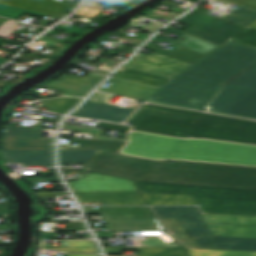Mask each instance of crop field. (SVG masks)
<instances>
[{"instance_id":"obj_1","label":"crop field","mask_w":256,"mask_h":256,"mask_svg":"<svg viewBox=\"0 0 256 256\" xmlns=\"http://www.w3.org/2000/svg\"><path fill=\"white\" fill-rule=\"evenodd\" d=\"M255 62V49L228 40L145 101L205 111L226 81ZM208 111L256 119V65L228 82Z\"/></svg>"},{"instance_id":"obj_2","label":"crop field","mask_w":256,"mask_h":256,"mask_svg":"<svg viewBox=\"0 0 256 256\" xmlns=\"http://www.w3.org/2000/svg\"><path fill=\"white\" fill-rule=\"evenodd\" d=\"M72 143L78 148L60 146V150H97L86 171L152 181L256 188V168L117 154L127 142L73 139Z\"/></svg>"},{"instance_id":"obj_3","label":"crop field","mask_w":256,"mask_h":256,"mask_svg":"<svg viewBox=\"0 0 256 256\" xmlns=\"http://www.w3.org/2000/svg\"><path fill=\"white\" fill-rule=\"evenodd\" d=\"M134 130L182 138L183 135L256 145V122L200 112L143 105L128 120Z\"/></svg>"},{"instance_id":"obj_4","label":"crop field","mask_w":256,"mask_h":256,"mask_svg":"<svg viewBox=\"0 0 256 256\" xmlns=\"http://www.w3.org/2000/svg\"><path fill=\"white\" fill-rule=\"evenodd\" d=\"M143 156L256 166V146L209 140H183L160 135H157Z\"/></svg>"},{"instance_id":"obj_5","label":"crop field","mask_w":256,"mask_h":256,"mask_svg":"<svg viewBox=\"0 0 256 256\" xmlns=\"http://www.w3.org/2000/svg\"><path fill=\"white\" fill-rule=\"evenodd\" d=\"M142 192L191 194L203 212L256 215V190L136 181Z\"/></svg>"},{"instance_id":"obj_6","label":"crop field","mask_w":256,"mask_h":256,"mask_svg":"<svg viewBox=\"0 0 256 256\" xmlns=\"http://www.w3.org/2000/svg\"><path fill=\"white\" fill-rule=\"evenodd\" d=\"M159 218H177L200 248L256 251V238L213 236L197 207H153Z\"/></svg>"},{"instance_id":"obj_7","label":"crop field","mask_w":256,"mask_h":256,"mask_svg":"<svg viewBox=\"0 0 256 256\" xmlns=\"http://www.w3.org/2000/svg\"><path fill=\"white\" fill-rule=\"evenodd\" d=\"M178 22L191 25L184 32L221 45L245 27L221 20L199 11H192Z\"/></svg>"},{"instance_id":"obj_8","label":"crop field","mask_w":256,"mask_h":256,"mask_svg":"<svg viewBox=\"0 0 256 256\" xmlns=\"http://www.w3.org/2000/svg\"><path fill=\"white\" fill-rule=\"evenodd\" d=\"M190 65L154 52L150 55L140 53L123 67L171 79Z\"/></svg>"},{"instance_id":"obj_9","label":"crop field","mask_w":256,"mask_h":256,"mask_svg":"<svg viewBox=\"0 0 256 256\" xmlns=\"http://www.w3.org/2000/svg\"><path fill=\"white\" fill-rule=\"evenodd\" d=\"M213 235L256 237V217L202 214Z\"/></svg>"},{"instance_id":"obj_10","label":"crop field","mask_w":256,"mask_h":256,"mask_svg":"<svg viewBox=\"0 0 256 256\" xmlns=\"http://www.w3.org/2000/svg\"><path fill=\"white\" fill-rule=\"evenodd\" d=\"M44 122L36 129L6 126L1 149H51L53 138H40Z\"/></svg>"},{"instance_id":"obj_11","label":"crop field","mask_w":256,"mask_h":256,"mask_svg":"<svg viewBox=\"0 0 256 256\" xmlns=\"http://www.w3.org/2000/svg\"><path fill=\"white\" fill-rule=\"evenodd\" d=\"M85 179L69 182L73 192L137 190L132 180L89 173Z\"/></svg>"},{"instance_id":"obj_12","label":"crop field","mask_w":256,"mask_h":256,"mask_svg":"<svg viewBox=\"0 0 256 256\" xmlns=\"http://www.w3.org/2000/svg\"><path fill=\"white\" fill-rule=\"evenodd\" d=\"M75 194L80 203L101 202L103 205H146L139 191L90 192Z\"/></svg>"},{"instance_id":"obj_13","label":"crop field","mask_w":256,"mask_h":256,"mask_svg":"<svg viewBox=\"0 0 256 256\" xmlns=\"http://www.w3.org/2000/svg\"><path fill=\"white\" fill-rule=\"evenodd\" d=\"M133 111L134 110L94 102H86V104L77 112L73 113L72 116L94 118L112 122H121Z\"/></svg>"},{"instance_id":"obj_14","label":"crop field","mask_w":256,"mask_h":256,"mask_svg":"<svg viewBox=\"0 0 256 256\" xmlns=\"http://www.w3.org/2000/svg\"><path fill=\"white\" fill-rule=\"evenodd\" d=\"M0 3L60 17L66 15L75 6L74 4L54 0H0Z\"/></svg>"},{"instance_id":"obj_15","label":"crop field","mask_w":256,"mask_h":256,"mask_svg":"<svg viewBox=\"0 0 256 256\" xmlns=\"http://www.w3.org/2000/svg\"><path fill=\"white\" fill-rule=\"evenodd\" d=\"M4 162H22V166L52 165L51 150H1Z\"/></svg>"},{"instance_id":"obj_16","label":"crop field","mask_w":256,"mask_h":256,"mask_svg":"<svg viewBox=\"0 0 256 256\" xmlns=\"http://www.w3.org/2000/svg\"><path fill=\"white\" fill-rule=\"evenodd\" d=\"M110 81L114 82L108 89L101 88L100 91L125 95L133 98H138L145 100L150 95H152L159 88L145 85L141 83H136L128 80H123L119 78L112 77Z\"/></svg>"},{"instance_id":"obj_17","label":"crop field","mask_w":256,"mask_h":256,"mask_svg":"<svg viewBox=\"0 0 256 256\" xmlns=\"http://www.w3.org/2000/svg\"><path fill=\"white\" fill-rule=\"evenodd\" d=\"M165 31L174 33L176 35L182 36L187 38L185 41L181 42L178 40H174L168 37H165L163 35L158 34L155 39H159L165 42H169L175 45H179L185 48H189L198 52H202V53H209L210 51H212L214 48H216L218 45L210 43L208 41L202 40L200 38L194 37L192 35L186 34L184 32H181L171 26H169L167 29H165Z\"/></svg>"},{"instance_id":"obj_18","label":"crop field","mask_w":256,"mask_h":256,"mask_svg":"<svg viewBox=\"0 0 256 256\" xmlns=\"http://www.w3.org/2000/svg\"><path fill=\"white\" fill-rule=\"evenodd\" d=\"M86 214H133L135 218H154L148 207H83Z\"/></svg>"},{"instance_id":"obj_19","label":"crop field","mask_w":256,"mask_h":256,"mask_svg":"<svg viewBox=\"0 0 256 256\" xmlns=\"http://www.w3.org/2000/svg\"><path fill=\"white\" fill-rule=\"evenodd\" d=\"M149 205H195L191 195L143 193Z\"/></svg>"},{"instance_id":"obj_20","label":"crop field","mask_w":256,"mask_h":256,"mask_svg":"<svg viewBox=\"0 0 256 256\" xmlns=\"http://www.w3.org/2000/svg\"><path fill=\"white\" fill-rule=\"evenodd\" d=\"M219 1L227 2L232 5L236 4L238 5V7H240L239 9L235 10L234 12L230 13L229 15L221 19H224L245 27H247L248 25H250L252 22L256 20V9L248 6H244L238 3H234L228 0H219Z\"/></svg>"},{"instance_id":"obj_21","label":"crop field","mask_w":256,"mask_h":256,"mask_svg":"<svg viewBox=\"0 0 256 256\" xmlns=\"http://www.w3.org/2000/svg\"><path fill=\"white\" fill-rule=\"evenodd\" d=\"M130 137L131 142L127 145L123 152L142 156L156 135L141 132H131Z\"/></svg>"},{"instance_id":"obj_22","label":"crop field","mask_w":256,"mask_h":256,"mask_svg":"<svg viewBox=\"0 0 256 256\" xmlns=\"http://www.w3.org/2000/svg\"><path fill=\"white\" fill-rule=\"evenodd\" d=\"M144 48L174 57L176 59L194 64L195 62H197L199 59H201L203 56H205V54L202 53H198L189 49H185L180 47L179 49H177L175 52L171 53L169 51L163 50L161 48L158 47V45L156 43L153 42H149L147 45L144 46Z\"/></svg>"},{"instance_id":"obj_23","label":"crop field","mask_w":256,"mask_h":256,"mask_svg":"<svg viewBox=\"0 0 256 256\" xmlns=\"http://www.w3.org/2000/svg\"><path fill=\"white\" fill-rule=\"evenodd\" d=\"M113 76L132 80V81H137L145 84H150L158 87H161L167 81H169L168 79L135 72L128 69L125 72L117 71Z\"/></svg>"},{"instance_id":"obj_24","label":"crop field","mask_w":256,"mask_h":256,"mask_svg":"<svg viewBox=\"0 0 256 256\" xmlns=\"http://www.w3.org/2000/svg\"><path fill=\"white\" fill-rule=\"evenodd\" d=\"M165 228L168 232H172L173 236L176 237L180 242L186 245L189 248H198L196 243L191 239V237L187 234L181 224L177 219H161Z\"/></svg>"},{"instance_id":"obj_25","label":"crop field","mask_w":256,"mask_h":256,"mask_svg":"<svg viewBox=\"0 0 256 256\" xmlns=\"http://www.w3.org/2000/svg\"><path fill=\"white\" fill-rule=\"evenodd\" d=\"M124 250H138V256H186L183 247L174 248H124Z\"/></svg>"},{"instance_id":"obj_26","label":"crop field","mask_w":256,"mask_h":256,"mask_svg":"<svg viewBox=\"0 0 256 256\" xmlns=\"http://www.w3.org/2000/svg\"><path fill=\"white\" fill-rule=\"evenodd\" d=\"M96 151H60V163L63 166L65 162L88 164Z\"/></svg>"},{"instance_id":"obj_27","label":"crop field","mask_w":256,"mask_h":256,"mask_svg":"<svg viewBox=\"0 0 256 256\" xmlns=\"http://www.w3.org/2000/svg\"><path fill=\"white\" fill-rule=\"evenodd\" d=\"M190 256H256V252L210 250V249H189Z\"/></svg>"},{"instance_id":"obj_28","label":"crop field","mask_w":256,"mask_h":256,"mask_svg":"<svg viewBox=\"0 0 256 256\" xmlns=\"http://www.w3.org/2000/svg\"><path fill=\"white\" fill-rule=\"evenodd\" d=\"M103 76L89 73L84 77L81 76H74V75H67L63 74L60 76L57 81L77 84L85 87L91 88L94 84H96Z\"/></svg>"},{"instance_id":"obj_29","label":"crop field","mask_w":256,"mask_h":256,"mask_svg":"<svg viewBox=\"0 0 256 256\" xmlns=\"http://www.w3.org/2000/svg\"><path fill=\"white\" fill-rule=\"evenodd\" d=\"M78 98H56L44 101L42 107L48 108L57 113L63 114L78 102Z\"/></svg>"},{"instance_id":"obj_30","label":"crop field","mask_w":256,"mask_h":256,"mask_svg":"<svg viewBox=\"0 0 256 256\" xmlns=\"http://www.w3.org/2000/svg\"><path fill=\"white\" fill-rule=\"evenodd\" d=\"M23 13L41 17V18L48 16V17L60 19V17L51 16V15H47V14H42V13H38V12H33V11H29V10L19 9V8L10 7V6L0 4V15H2V16L17 19Z\"/></svg>"},{"instance_id":"obj_31","label":"crop field","mask_w":256,"mask_h":256,"mask_svg":"<svg viewBox=\"0 0 256 256\" xmlns=\"http://www.w3.org/2000/svg\"><path fill=\"white\" fill-rule=\"evenodd\" d=\"M230 40L236 41L238 43H241L256 49V30L247 27L246 30L242 31L241 33L234 36Z\"/></svg>"},{"instance_id":"obj_32","label":"crop field","mask_w":256,"mask_h":256,"mask_svg":"<svg viewBox=\"0 0 256 256\" xmlns=\"http://www.w3.org/2000/svg\"><path fill=\"white\" fill-rule=\"evenodd\" d=\"M49 86L67 90L65 95L77 96V97H82L89 90L88 88L67 84V83H62V82H57V81L50 83Z\"/></svg>"},{"instance_id":"obj_33","label":"crop field","mask_w":256,"mask_h":256,"mask_svg":"<svg viewBox=\"0 0 256 256\" xmlns=\"http://www.w3.org/2000/svg\"><path fill=\"white\" fill-rule=\"evenodd\" d=\"M101 12L100 10L91 9L87 7L81 6L79 10L76 12V16H83V17H91L96 18L97 14Z\"/></svg>"},{"instance_id":"obj_34","label":"crop field","mask_w":256,"mask_h":256,"mask_svg":"<svg viewBox=\"0 0 256 256\" xmlns=\"http://www.w3.org/2000/svg\"><path fill=\"white\" fill-rule=\"evenodd\" d=\"M71 124H74V123H71ZM77 125H80V124H77ZM83 126H86V125H83ZM90 127L113 129V130H122V131H128L131 128V127H126V126H121V125H116V124L103 123V122L96 123L95 126H90Z\"/></svg>"},{"instance_id":"obj_35","label":"crop field","mask_w":256,"mask_h":256,"mask_svg":"<svg viewBox=\"0 0 256 256\" xmlns=\"http://www.w3.org/2000/svg\"><path fill=\"white\" fill-rule=\"evenodd\" d=\"M57 249L66 252H83V253H97L96 248H48Z\"/></svg>"},{"instance_id":"obj_36","label":"crop field","mask_w":256,"mask_h":256,"mask_svg":"<svg viewBox=\"0 0 256 256\" xmlns=\"http://www.w3.org/2000/svg\"><path fill=\"white\" fill-rule=\"evenodd\" d=\"M57 29L65 31V32L70 33V34H74V35H77V34L83 32V31H85V30H82V29L74 27V26H72L70 28L61 26V27H59Z\"/></svg>"},{"instance_id":"obj_37","label":"crop field","mask_w":256,"mask_h":256,"mask_svg":"<svg viewBox=\"0 0 256 256\" xmlns=\"http://www.w3.org/2000/svg\"><path fill=\"white\" fill-rule=\"evenodd\" d=\"M73 247H94L91 241H72Z\"/></svg>"},{"instance_id":"obj_38","label":"crop field","mask_w":256,"mask_h":256,"mask_svg":"<svg viewBox=\"0 0 256 256\" xmlns=\"http://www.w3.org/2000/svg\"><path fill=\"white\" fill-rule=\"evenodd\" d=\"M106 254H118L122 255L123 253V248H116V247H108L105 248Z\"/></svg>"},{"instance_id":"obj_39","label":"crop field","mask_w":256,"mask_h":256,"mask_svg":"<svg viewBox=\"0 0 256 256\" xmlns=\"http://www.w3.org/2000/svg\"><path fill=\"white\" fill-rule=\"evenodd\" d=\"M39 196L67 195L66 192H37Z\"/></svg>"},{"instance_id":"obj_40","label":"crop field","mask_w":256,"mask_h":256,"mask_svg":"<svg viewBox=\"0 0 256 256\" xmlns=\"http://www.w3.org/2000/svg\"><path fill=\"white\" fill-rule=\"evenodd\" d=\"M231 1H235V2L242 3V4L256 8V0H231Z\"/></svg>"},{"instance_id":"obj_41","label":"crop field","mask_w":256,"mask_h":256,"mask_svg":"<svg viewBox=\"0 0 256 256\" xmlns=\"http://www.w3.org/2000/svg\"><path fill=\"white\" fill-rule=\"evenodd\" d=\"M106 219L133 218L132 215H104Z\"/></svg>"},{"instance_id":"obj_42","label":"crop field","mask_w":256,"mask_h":256,"mask_svg":"<svg viewBox=\"0 0 256 256\" xmlns=\"http://www.w3.org/2000/svg\"><path fill=\"white\" fill-rule=\"evenodd\" d=\"M84 5H88V6H92V7H96V8H100V9L105 8V6H103V5H100V4H97V3H93V2H89V1L84 3Z\"/></svg>"},{"instance_id":"obj_43","label":"crop field","mask_w":256,"mask_h":256,"mask_svg":"<svg viewBox=\"0 0 256 256\" xmlns=\"http://www.w3.org/2000/svg\"><path fill=\"white\" fill-rule=\"evenodd\" d=\"M66 256H97V255L67 254Z\"/></svg>"},{"instance_id":"obj_44","label":"crop field","mask_w":256,"mask_h":256,"mask_svg":"<svg viewBox=\"0 0 256 256\" xmlns=\"http://www.w3.org/2000/svg\"><path fill=\"white\" fill-rule=\"evenodd\" d=\"M0 208H11L10 204H0Z\"/></svg>"},{"instance_id":"obj_45","label":"crop field","mask_w":256,"mask_h":256,"mask_svg":"<svg viewBox=\"0 0 256 256\" xmlns=\"http://www.w3.org/2000/svg\"><path fill=\"white\" fill-rule=\"evenodd\" d=\"M8 19L0 18V26L5 23Z\"/></svg>"},{"instance_id":"obj_46","label":"crop field","mask_w":256,"mask_h":256,"mask_svg":"<svg viewBox=\"0 0 256 256\" xmlns=\"http://www.w3.org/2000/svg\"><path fill=\"white\" fill-rule=\"evenodd\" d=\"M249 27L255 28L256 29V21L252 23Z\"/></svg>"},{"instance_id":"obj_47","label":"crop field","mask_w":256,"mask_h":256,"mask_svg":"<svg viewBox=\"0 0 256 256\" xmlns=\"http://www.w3.org/2000/svg\"><path fill=\"white\" fill-rule=\"evenodd\" d=\"M7 60L1 59L0 58V65H2L3 63H5Z\"/></svg>"},{"instance_id":"obj_48","label":"crop field","mask_w":256,"mask_h":256,"mask_svg":"<svg viewBox=\"0 0 256 256\" xmlns=\"http://www.w3.org/2000/svg\"><path fill=\"white\" fill-rule=\"evenodd\" d=\"M135 241H136L137 247H141V246H139V244H140L139 240H135Z\"/></svg>"},{"instance_id":"obj_49","label":"crop field","mask_w":256,"mask_h":256,"mask_svg":"<svg viewBox=\"0 0 256 256\" xmlns=\"http://www.w3.org/2000/svg\"><path fill=\"white\" fill-rule=\"evenodd\" d=\"M2 39H0V41H1ZM4 41H6V40H4ZM8 42H10V41H8ZM12 43H14V42H12ZM16 44H18V43H16ZM20 45H22V44H20Z\"/></svg>"}]
</instances>
